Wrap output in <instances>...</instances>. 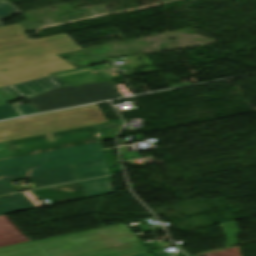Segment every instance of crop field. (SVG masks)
Segmentation results:
<instances>
[{"mask_svg":"<svg viewBox=\"0 0 256 256\" xmlns=\"http://www.w3.org/2000/svg\"><path fill=\"white\" fill-rule=\"evenodd\" d=\"M106 122L96 104L55 111L0 122V142Z\"/></svg>","mask_w":256,"mask_h":256,"instance_id":"34b2d1b8","label":"crop field"},{"mask_svg":"<svg viewBox=\"0 0 256 256\" xmlns=\"http://www.w3.org/2000/svg\"><path fill=\"white\" fill-rule=\"evenodd\" d=\"M21 14L12 4L5 0H0V20L10 18V15ZM0 27L1 24H0Z\"/></svg>","mask_w":256,"mask_h":256,"instance_id":"5142ce71","label":"crop field"},{"mask_svg":"<svg viewBox=\"0 0 256 256\" xmlns=\"http://www.w3.org/2000/svg\"><path fill=\"white\" fill-rule=\"evenodd\" d=\"M16 191L12 188V186L4 179H0V195L15 193Z\"/></svg>","mask_w":256,"mask_h":256,"instance_id":"4a817a6b","label":"crop field"},{"mask_svg":"<svg viewBox=\"0 0 256 256\" xmlns=\"http://www.w3.org/2000/svg\"><path fill=\"white\" fill-rule=\"evenodd\" d=\"M74 68L57 55L0 65V86L27 81Z\"/></svg>","mask_w":256,"mask_h":256,"instance_id":"dd49c442","label":"crop field"},{"mask_svg":"<svg viewBox=\"0 0 256 256\" xmlns=\"http://www.w3.org/2000/svg\"><path fill=\"white\" fill-rule=\"evenodd\" d=\"M17 108L23 115L37 113L30 104L20 105Z\"/></svg>","mask_w":256,"mask_h":256,"instance_id":"bc2a9ffb","label":"crop field"},{"mask_svg":"<svg viewBox=\"0 0 256 256\" xmlns=\"http://www.w3.org/2000/svg\"><path fill=\"white\" fill-rule=\"evenodd\" d=\"M12 100H14V98L0 88V104L9 103Z\"/></svg>","mask_w":256,"mask_h":256,"instance_id":"214f88e0","label":"crop field"},{"mask_svg":"<svg viewBox=\"0 0 256 256\" xmlns=\"http://www.w3.org/2000/svg\"><path fill=\"white\" fill-rule=\"evenodd\" d=\"M81 183L88 197L114 192L108 177Z\"/></svg>","mask_w":256,"mask_h":256,"instance_id":"22f410ed","label":"crop field"},{"mask_svg":"<svg viewBox=\"0 0 256 256\" xmlns=\"http://www.w3.org/2000/svg\"><path fill=\"white\" fill-rule=\"evenodd\" d=\"M125 157L127 160H129V159L137 158L139 157V155L136 152H134V153L125 155Z\"/></svg>","mask_w":256,"mask_h":256,"instance_id":"dafd665d","label":"crop field"},{"mask_svg":"<svg viewBox=\"0 0 256 256\" xmlns=\"http://www.w3.org/2000/svg\"><path fill=\"white\" fill-rule=\"evenodd\" d=\"M3 144L14 158L0 161V178H31L38 188L77 181L71 164L104 158L97 125Z\"/></svg>","mask_w":256,"mask_h":256,"instance_id":"8a807250","label":"crop field"},{"mask_svg":"<svg viewBox=\"0 0 256 256\" xmlns=\"http://www.w3.org/2000/svg\"><path fill=\"white\" fill-rule=\"evenodd\" d=\"M17 32H24V30L21 28L19 24L11 25V26H5L3 28H0V37L17 33Z\"/></svg>","mask_w":256,"mask_h":256,"instance_id":"733c2abd","label":"crop field"},{"mask_svg":"<svg viewBox=\"0 0 256 256\" xmlns=\"http://www.w3.org/2000/svg\"><path fill=\"white\" fill-rule=\"evenodd\" d=\"M20 114L12 105H0V120L7 119L15 116H19Z\"/></svg>","mask_w":256,"mask_h":256,"instance_id":"d9b57169","label":"crop field"},{"mask_svg":"<svg viewBox=\"0 0 256 256\" xmlns=\"http://www.w3.org/2000/svg\"><path fill=\"white\" fill-rule=\"evenodd\" d=\"M76 72H79V71H76ZM71 73H75V72H71ZM71 73L62 74V76L67 75V74H71Z\"/></svg>","mask_w":256,"mask_h":256,"instance_id":"a9b5d70f","label":"crop field"},{"mask_svg":"<svg viewBox=\"0 0 256 256\" xmlns=\"http://www.w3.org/2000/svg\"><path fill=\"white\" fill-rule=\"evenodd\" d=\"M139 241L124 225L0 248V256H73Z\"/></svg>","mask_w":256,"mask_h":256,"instance_id":"ac0d7876","label":"crop field"},{"mask_svg":"<svg viewBox=\"0 0 256 256\" xmlns=\"http://www.w3.org/2000/svg\"><path fill=\"white\" fill-rule=\"evenodd\" d=\"M219 225L227 239V241L225 242L226 247L236 244L237 243L236 238L239 234L236 222L233 221V222L221 223Z\"/></svg>","mask_w":256,"mask_h":256,"instance_id":"cbeb9de0","label":"crop field"},{"mask_svg":"<svg viewBox=\"0 0 256 256\" xmlns=\"http://www.w3.org/2000/svg\"><path fill=\"white\" fill-rule=\"evenodd\" d=\"M64 84L66 83L53 76H49L2 88L16 99H21L36 95L47 90H51Z\"/></svg>","mask_w":256,"mask_h":256,"instance_id":"e52e79f7","label":"crop field"},{"mask_svg":"<svg viewBox=\"0 0 256 256\" xmlns=\"http://www.w3.org/2000/svg\"><path fill=\"white\" fill-rule=\"evenodd\" d=\"M13 156V155H12ZM11 154L7 151V149L3 146L2 143H0V160L11 158Z\"/></svg>","mask_w":256,"mask_h":256,"instance_id":"92a150f3","label":"crop field"},{"mask_svg":"<svg viewBox=\"0 0 256 256\" xmlns=\"http://www.w3.org/2000/svg\"><path fill=\"white\" fill-rule=\"evenodd\" d=\"M80 49L65 33L30 40L24 33L0 38V64Z\"/></svg>","mask_w":256,"mask_h":256,"instance_id":"f4fd0767","label":"crop field"},{"mask_svg":"<svg viewBox=\"0 0 256 256\" xmlns=\"http://www.w3.org/2000/svg\"><path fill=\"white\" fill-rule=\"evenodd\" d=\"M39 200L52 204L86 197L79 182L32 191Z\"/></svg>","mask_w":256,"mask_h":256,"instance_id":"d8731c3e","label":"crop field"},{"mask_svg":"<svg viewBox=\"0 0 256 256\" xmlns=\"http://www.w3.org/2000/svg\"><path fill=\"white\" fill-rule=\"evenodd\" d=\"M122 97L113 81L73 87L69 84L27 98L39 112Z\"/></svg>","mask_w":256,"mask_h":256,"instance_id":"412701ff","label":"crop field"},{"mask_svg":"<svg viewBox=\"0 0 256 256\" xmlns=\"http://www.w3.org/2000/svg\"><path fill=\"white\" fill-rule=\"evenodd\" d=\"M35 208L23 193L0 197V215Z\"/></svg>","mask_w":256,"mask_h":256,"instance_id":"3316defc","label":"crop field"},{"mask_svg":"<svg viewBox=\"0 0 256 256\" xmlns=\"http://www.w3.org/2000/svg\"><path fill=\"white\" fill-rule=\"evenodd\" d=\"M148 252L139 242L123 245L119 247H111L77 256H132Z\"/></svg>","mask_w":256,"mask_h":256,"instance_id":"28ad6ade","label":"crop field"},{"mask_svg":"<svg viewBox=\"0 0 256 256\" xmlns=\"http://www.w3.org/2000/svg\"><path fill=\"white\" fill-rule=\"evenodd\" d=\"M137 256H152L149 252L146 254H142V255H137Z\"/></svg>","mask_w":256,"mask_h":256,"instance_id":"00972430","label":"crop field"},{"mask_svg":"<svg viewBox=\"0 0 256 256\" xmlns=\"http://www.w3.org/2000/svg\"><path fill=\"white\" fill-rule=\"evenodd\" d=\"M74 167L81 180L109 174L104 159L75 164Z\"/></svg>","mask_w":256,"mask_h":256,"instance_id":"d1516ede","label":"crop field"},{"mask_svg":"<svg viewBox=\"0 0 256 256\" xmlns=\"http://www.w3.org/2000/svg\"><path fill=\"white\" fill-rule=\"evenodd\" d=\"M29 241L5 215L0 216V247Z\"/></svg>","mask_w":256,"mask_h":256,"instance_id":"5a996713","label":"crop field"}]
</instances>
